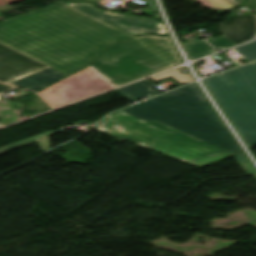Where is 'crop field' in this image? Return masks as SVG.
Listing matches in <instances>:
<instances>
[{
    "label": "crop field",
    "mask_w": 256,
    "mask_h": 256,
    "mask_svg": "<svg viewBox=\"0 0 256 256\" xmlns=\"http://www.w3.org/2000/svg\"><path fill=\"white\" fill-rule=\"evenodd\" d=\"M130 36L61 2L0 23L1 43L67 75Z\"/></svg>",
    "instance_id": "obj_1"
},
{
    "label": "crop field",
    "mask_w": 256,
    "mask_h": 256,
    "mask_svg": "<svg viewBox=\"0 0 256 256\" xmlns=\"http://www.w3.org/2000/svg\"><path fill=\"white\" fill-rule=\"evenodd\" d=\"M121 111L158 121L233 154L241 151L195 83Z\"/></svg>",
    "instance_id": "obj_2"
},
{
    "label": "crop field",
    "mask_w": 256,
    "mask_h": 256,
    "mask_svg": "<svg viewBox=\"0 0 256 256\" xmlns=\"http://www.w3.org/2000/svg\"><path fill=\"white\" fill-rule=\"evenodd\" d=\"M95 128L199 167L233 155L155 121L144 122L121 111Z\"/></svg>",
    "instance_id": "obj_3"
},
{
    "label": "crop field",
    "mask_w": 256,
    "mask_h": 256,
    "mask_svg": "<svg viewBox=\"0 0 256 256\" xmlns=\"http://www.w3.org/2000/svg\"><path fill=\"white\" fill-rule=\"evenodd\" d=\"M183 63L169 36H138L97 54L91 66L115 87Z\"/></svg>",
    "instance_id": "obj_4"
},
{
    "label": "crop field",
    "mask_w": 256,
    "mask_h": 256,
    "mask_svg": "<svg viewBox=\"0 0 256 256\" xmlns=\"http://www.w3.org/2000/svg\"><path fill=\"white\" fill-rule=\"evenodd\" d=\"M250 148L256 146V62L204 80Z\"/></svg>",
    "instance_id": "obj_5"
},
{
    "label": "crop field",
    "mask_w": 256,
    "mask_h": 256,
    "mask_svg": "<svg viewBox=\"0 0 256 256\" xmlns=\"http://www.w3.org/2000/svg\"><path fill=\"white\" fill-rule=\"evenodd\" d=\"M114 88L91 67L38 93L53 108Z\"/></svg>",
    "instance_id": "obj_6"
},
{
    "label": "crop field",
    "mask_w": 256,
    "mask_h": 256,
    "mask_svg": "<svg viewBox=\"0 0 256 256\" xmlns=\"http://www.w3.org/2000/svg\"><path fill=\"white\" fill-rule=\"evenodd\" d=\"M64 3L132 35L142 33L167 34L163 24L158 21L133 15L102 11L89 3Z\"/></svg>",
    "instance_id": "obj_7"
},
{
    "label": "crop field",
    "mask_w": 256,
    "mask_h": 256,
    "mask_svg": "<svg viewBox=\"0 0 256 256\" xmlns=\"http://www.w3.org/2000/svg\"><path fill=\"white\" fill-rule=\"evenodd\" d=\"M47 68L0 43V81L10 83Z\"/></svg>",
    "instance_id": "obj_8"
},
{
    "label": "crop field",
    "mask_w": 256,
    "mask_h": 256,
    "mask_svg": "<svg viewBox=\"0 0 256 256\" xmlns=\"http://www.w3.org/2000/svg\"><path fill=\"white\" fill-rule=\"evenodd\" d=\"M219 28L235 45L256 36L254 15L229 17L228 21L218 23Z\"/></svg>",
    "instance_id": "obj_9"
},
{
    "label": "crop field",
    "mask_w": 256,
    "mask_h": 256,
    "mask_svg": "<svg viewBox=\"0 0 256 256\" xmlns=\"http://www.w3.org/2000/svg\"><path fill=\"white\" fill-rule=\"evenodd\" d=\"M65 76L66 75L49 68L10 84L37 91Z\"/></svg>",
    "instance_id": "obj_10"
},
{
    "label": "crop field",
    "mask_w": 256,
    "mask_h": 256,
    "mask_svg": "<svg viewBox=\"0 0 256 256\" xmlns=\"http://www.w3.org/2000/svg\"><path fill=\"white\" fill-rule=\"evenodd\" d=\"M154 87L155 85H153L151 82L145 79L141 82L118 89V91L122 93L126 98L133 101L154 94L152 90Z\"/></svg>",
    "instance_id": "obj_11"
},
{
    "label": "crop field",
    "mask_w": 256,
    "mask_h": 256,
    "mask_svg": "<svg viewBox=\"0 0 256 256\" xmlns=\"http://www.w3.org/2000/svg\"><path fill=\"white\" fill-rule=\"evenodd\" d=\"M185 50L187 51L191 60L198 59L200 57L215 53L216 51L211 48L203 40L183 43Z\"/></svg>",
    "instance_id": "obj_12"
},
{
    "label": "crop field",
    "mask_w": 256,
    "mask_h": 256,
    "mask_svg": "<svg viewBox=\"0 0 256 256\" xmlns=\"http://www.w3.org/2000/svg\"><path fill=\"white\" fill-rule=\"evenodd\" d=\"M53 133H56V132L51 130V131L43 133L41 135H38V136H35V137H32V138H28V139L22 140L20 142L11 144L9 146L0 148V154H2L4 152H7V151H10L12 149H15L17 147H20L22 145L28 144L30 142H33L35 140H37V142H38L42 151L46 150V149H49V135H51Z\"/></svg>",
    "instance_id": "obj_13"
},
{
    "label": "crop field",
    "mask_w": 256,
    "mask_h": 256,
    "mask_svg": "<svg viewBox=\"0 0 256 256\" xmlns=\"http://www.w3.org/2000/svg\"><path fill=\"white\" fill-rule=\"evenodd\" d=\"M238 53H240L242 56L250 59L255 60L256 59V41L234 48Z\"/></svg>",
    "instance_id": "obj_14"
},
{
    "label": "crop field",
    "mask_w": 256,
    "mask_h": 256,
    "mask_svg": "<svg viewBox=\"0 0 256 256\" xmlns=\"http://www.w3.org/2000/svg\"><path fill=\"white\" fill-rule=\"evenodd\" d=\"M247 174H256V169L253 167L249 159L246 157L244 152H240L234 155Z\"/></svg>",
    "instance_id": "obj_15"
},
{
    "label": "crop field",
    "mask_w": 256,
    "mask_h": 256,
    "mask_svg": "<svg viewBox=\"0 0 256 256\" xmlns=\"http://www.w3.org/2000/svg\"><path fill=\"white\" fill-rule=\"evenodd\" d=\"M207 42H209L214 48L218 50H223L228 47L234 46V44H232L224 36L210 38Z\"/></svg>",
    "instance_id": "obj_16"
},
{
    "label": "crop field",
    "mask_w": 256,
    "mask_h": 256,
    "mask_svg": "<svg viewBox=\"0 0 256 256\" xmlns=\"http://www.w3.org/2000/svg\"><path fill=\"white\" fill-rule=\"evenodd\" d=\"M13 88H15V87L8 86V85H5V84L0 83V95H1L2 93H4V92H7V91L13 89Z\"/></svg>",
    "instance_id": "obj_17"
},
{
    "label": "crop field",
    "mask_w": 256,
    "mask_h": 256,
    "mask_svg": "<svg viewBox=\"0 0 256 256\" xmlns=\"http://www.w3.org/2000/svg\"><path fill=\"white\" fill-rule=\"evenodd\" d=\"M226 1H228L230 4H232V5H234V6H237V5L242 4V2H243L244 0H226Z\"/></svg>",
    "instance_id": "obj_18"
},
{
    "label": "crop field",
    "mask_w": 256,
    "mask_h": 256,
    "mask_svg": "<svg viewBox=\"0 0 256 256\" xmlns=\"http://www.w3.org/2000/svg\"><path fill=\"white\" fill-rule=\"evenodd\" d=\"M255 3H256V0H249L246 5L253 8L255 7Z\"/></svg>",
    "instance_id": "obj_19"
},
{
    "label": "crop field",
    "mask_w": 256,
    "mask_h": 256,
    "mask_svg": "<svg viewBox=\"0 0 256 256\" xmlns=\"http://www.w3.org/2000/svg\"><path fill=\"white\" fill-rule=\"evenodd\" d=\"M90 1H92V2L96 3V2H98V1H100V0H90Z\"/></svg>",
    "instance_id": "obj_20"
},
{
    "label": "crop field",
    "mask_w": 256,
    "mask_h": 256,
    "mask_svg": "<svg viewBox=\"0 0 256 256\" xmlns=\"http://www.w3.org/2000/svg\"><path fill=\"white\" fill-rule=\"evenodd\" d=\"M222 75V74H221ZM218 76V75H217Z\"/></svg>",
    "instance_id": "obj_21"
}]
</instances>
